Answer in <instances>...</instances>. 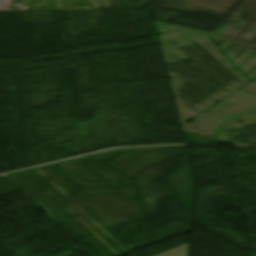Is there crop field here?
I'll return each mask as SVG.
<instances>
[{
  "label": "crop field",
  "mask_w": 256,
  "mask_h": 256,
  "mask_svg": "<svg viewBox=\"0 0 256 256\" xmlns=\"http://www.w3.org/2000/svg\"><path fill=\"white\" fill-rule=\"evenodd\" d=\"M183 255H184V250L181 252L175 253L173 255H170V256H183Z\"/></svg>",
  "instance_id": "crop-field-1"
},
{
  "label": "crop field",
  "mask_w": 256,
  "mask_h": 256,
  "mask_svg": "<svg viewBox=\"0 0 256 256\" xmlns=\"http://www.w3.org/2000/svg\"><path fill=\"white\" fill-rule=\"evenodd\" d=\"M250 42L256 43V36Z\"/></svg>",
  "instance_id": "crop-field-2"
}]
</instances>
